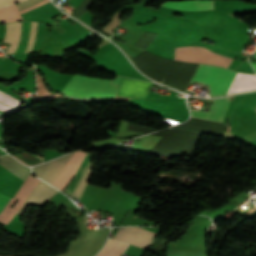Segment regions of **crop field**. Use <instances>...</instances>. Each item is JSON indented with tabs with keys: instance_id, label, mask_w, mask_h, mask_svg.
I'll use <instances>...</instances> for the list:
<instances>
[{
	"instance_id": "obj_1",
	"label": "crop field",
	"mask_w": 256,
	"mask_h": 256,
	"mask_svg": "<svg viewBox=\"0 0 256 256\" xmlns=\"http://www.w3.org/2000/svg\"><path fill=\"white\" fill-rule=\"evenodd\" d=\"M111 80L102 78L73 76L63 89L65 95L84 98H114L117 86Z\"/></svg>"
},
{
	"instance_id": "obj_2",
	"label": "crop field",
	"mask_w": 256,
	"mask_h": 256,
	"mask_svg": "<svg viewBox=\"0 0 256 256\" xmlns=\"http://www.w3.org/2000/svg\"><path fill=\"white\" fill-rule=\"evenodd\" d=\"M235 75L228 69L200 64L192 81L207 86L212 96H220L226 93Z\"/></svg>"
},
{
	"instance_id": "obj_3",
	"label": "crop field",
	"mask_w": 256,
	"mask_h": 256,
	"mask_svg": "<svg viewBox=\"0 0 256 256\" xmlns=\"http://www.w3.org/2000/svg\"><path fill=\"white\" fill-rule=\"evenodd\" d=\"M41 180L37 179L33 175H30L23 183V185L20 187V189L17 191L15 194L14 198L9 201V197L3 195L0 193V212L6 205V207L3 209V211L0 213V222L8 225L12 219L18 214L20 211L21 207L25 203L26 199L30 195V193L33 191V189L37 186V184ZM18 199V200H17ZM16 204L14 207L11 209L10 207L12 204L15 202Z\"/></svg>"
},
{
	"instance_id": "obj_4",
	"label": "crop field",
	"mask_w": 256,
	"mask_h": 256,
	"mask_svg": "<svg viewBox=\"0 0 256 256\" xmlns=\"http://www.w3.org/2000/svg\"><path fill=\"white\" fill-rule=\"evenodd\" d=\"M174 59L186 62L208 63L228 67L233 58L211 52L203 47L185 46L175 48Z\"/></svg>"
},
{
	"instance_id": "obj_5",
	"label": "crop field",
	"mask_w": 256,
	"mask_h": 256,
	"mask_svg": "<svg viewBox=\"0 0 256 256\" xmlns=\"http://www.w3.org/2000/svg\"><path fill=\"white\" fill-rule=\"evenodd\" d=\"M113 84L119 85L117 96L133 98L140 97L145 98L148 90H146L151 83L129 79L125 77H117L113 79Z\"/></svg>"
},
{
	"instance_id": "obj_6",
	"label": "crop field",
	"mask_w": 256,
	"mask_h": 256,
	"mask_svg": "<svg viewBox=\"0 0 256 256\" xmlns=\"http://www.w3.org/2000/svg\"><path fill=\"white\" fill-rule=\"evenodd\" d=\"M71 155L72 154H69L64 157L33 167V172L35 175L39 176L40 178L51 184L55 180L59 172L63 169L64 165L66 164Z\"/></svg>"
},
{
	"instance_id": "obj_7",
	"label": "crop field",
	"mask_w": 256,
	"mask_h": 256,
	"mask_svg": "<svg viewBox=\"0 0 256 256\" xmlns=\"http://www.w3.org/2000/svg\"><path fill=\"white\" fill-rule=\"evenodd\" d=\"M85 155L86 152L82 151L73 153L67 165L61 171L58 178L52 183V185L62 190L75 175Z\"/></svg>"
},
{
	"instance_id": "obj_8",
	"label": "crop field",
	"mask_w": 256,
	"mask_h": 256,
	"mask_svg": "<svg viewBox=\"0 0 256 256\" xmlns=\"http://www.w3.org/2000/svg\"><path fill=\"white\" fill-rule=\"evenodd\" d=\"M57 192L58 191H56L54 188L41 181L18 215L20 216L26 210L29 204L44 207L49 199Z\"/></svg>"
},
{
	"instance_id": "obj_9",
	"label": "crop field",
	"mask_w": 256,
	"mask_h": 256,
	"mask_svg": "<svg viewBox=\"0 0 256 256\" xmlns=\"http://www.w3.org/2000/svg\"><path fill=\"white\" fill-rule=\"evenodd\" d=\"M231 97L232 96L221 99H215V102L209 112L191 111V117L221 122L226 113Z\"/></svg>"
},
{
	"instance_id": "obj_10",
	"label": "crop field",
	"mask_w": 256,
	"mask_h": 256,
	"mask_svg": "<svg viewBox=\"0 0 256 256\" xmlns=\"http://www.w3.org/2000/svg\"><path fill=\"white\" fill-rule=\"evenodd\" d=\"M162 6L185 11L214 9V0L166 1Z\"/></svg>"
},
{
	"instance_id": "obj_11",
	"label": "crop field",
	"mask_w": 256,
	"mask_h": 256,
	"mask_svg": "<svg viewBox=\"0 0 256 256\" xmlns=\"http://www.w3.org/2000/svg\"><path fill=\"white\" fill-rule=\"evenodd\" d=\"M256 75L237 73L227 94L255 90Z\"/></svg>"
},
{
	"instance_id": "obj_12",
	"label": "crop field",
	"mask_w": 256,
	"mask_h": 256,
	"mask_svg": "<svg viewBox=\"0 0 256 256\" xmlns=\"http://www.w3.org/2000/svg\"><path fill=\"white\" fill-rule=\"evenodd\" d=\"M0 164L22 180H25V178L31 172L30 168L23 166L22 164H20L19 162H17L15 159L8 155L2 156L0 158Z\"/></svg>"
},
{
	"instance_id": "obj_13",
	"label": "crop field",
	"mask_w": 256,
	"mask_h": 256,
	"mask_svg": "<svg viewBox=\"0 0 256 256\" xmlns=\"http://www.w3.org/2000/svg\"><path fill=\"white\" fill-rule=\"evenodd\" d=\"M21 22L7 24L4 42L11 43L6 53H14L19 43Z\"/></svg>"
},
{
	"instance_id": "obj_14",
	"label": "crop field",
	"mask_w": 256,
	"mask_h": 256,
	"mask_svg": "<svg viewBox=\"0 0 256 256\" xmlns=\"http://www.w3.org/2000/svg\"><path fill=\"white\" fill-rule=\"evenodd\" d=\"M22 20L16 4L0 8V23Z\"/></svg>"
},
{
	"instance_id": "obj_15",
	"label": "crop field",
	"mask_w": 256,
	"mask_h": 256,
	"mask_svg": "<svg viewBox=\"0 0 256 256\" xmlns=\"http://www.w3.org/2000/svg\"><path fill=\"white\" fill-rule=\"evenodd\" d=\"M92 168H93V164L90 162L86 172L84 173L83 177L81 178L80 182L78 183V185L76 186L75 190L72 193V195L77 199H79L81 192L84 190V188L86 187L90 179Z\"/></svg>"
},
{
	"instance_id": "obj_16",
	"label": "crop field",
	"mask_w": 256,
	"mask_h": 256,
	"mask_svg": "<svg viewBox=\"0 0 256 256\" xmlns=\"http://www.w3.org/2000/svg\"><path fill=\"white\" fill-rule=\"evenodd\" d=\"M127 130L137 131V132H141V133H145V134L157 131L151 127L140 126V125H136V124H132V123L128 124Z\"/></svg>"
},
{
	"instance_id": "obj_17",
	"label": "crop field",
	"mask_w": 256,
	"mask_h": 256,
	"mask_svg": "<svg viewBox=\"0 0 256 256\" xmlns=\"http://www.w3.org/2000/svg\"><path fill=\"white\" fill-rule=\"evenodd\" d=\"M92 0H84L80 6L71 13V15L75 16V17H79L81 16L84 12H86L91 4Z\"/></svg>"
},
{
	"instance_id": "obj_18",
	"label": "crop field",
	"mask_w": 256,
	"mask_h": 256,
	"mask_svg": "<svg viewBox=\"0 0 256 256\" xmlns=\"http://www.w3.org/2000/svg\"><path fill=\"white\" fill-rule=\"evenodd\" d=\"M18 99L12 98L2 92H0V102L9 106L16 107Z\"/></svg>"
},
{
	"instance_id": "obj_19",
	"label": "crop field",
	"mask_w": 256,
	"mask_h": 256,
	"mask_svg": "<svg viewBox=\"0 0 256 256\" xmlns=\"http://www.w3.org/2000/svg\"><path fill=\"white\" fill-rule=\"evenodd\" d=\"M36 26H37V23H34L32 22V25H31V31H30V40H29V44L25 50V52H30L33 45H34V39H35V34H36Z\"/></svg>"
},
{
	"instance_id": "obj_20",
	"label": "crop field",
	"mask_w": 256,
	"mask_h": 256,
	"mask_svg": "<svg viewBox=\"0 0 256 256\" xmlns=\"http://www.w3.org/2000/svg\"><path fill=\"white\" fill-rule=\"evenodd\" d=\"M22 0H0V7L1 6H5V5H9V4H13V3H17L20 2Z\"/></svg>"
},
{
	"instance_id": "obj_21",
	"label": "crop field",
	"mask_w": 256,
	"mask_h": 256,
	"mask_svg": "<svg viewBox=\"0 0 256 256\" xmlns=\"http://www.w3.org/2000/svg\"><path fill=\"white\" fill-rule=\"evenodd\" d=\"M14 109L9 107V106H5L0 104V111L9 114L11 111H13Z\"/></svg>"
},
{
	"instance_id": "obj_22",
	"label": "crop field",
	"mask_w": 256,
	"mask_h": 256,
	"mask_svg": "<svg viewBox=\"0 0 256 256\" xmlns=\"http://www.w3.org/2000/svg\"><path fill=\"white\" fill-rule=\"evenodd\" d=\"M46 2H49V0H44V1H42V2H40V3H38V4L34 5V6H32V7L28 8V9H26V10L20 11V13H21V14H22V13H25V12H27V11H29V10H31V9H33V8H35V7H37V6L41 5V4H43V3H46Z\"/></svg>"
},
{
	"instance_id": "obj_23",
	"label": "crop field",
	"mask_w": 256,
	"mask_h": 256,
	"mask_svg": "<svg viewBox=\"0 0 256 256\" xmlns=\"http://www.w3.org/2000/svg\"><path fill=\"white\" fill-rule=\"evenodd\" d=\"M30 154H31V153H30ZM32 155L35 156L36 158H38V159H40V160L43 161V158H42V157L36 156V155H34V154H32Z\"/></svg>"
},
{
	"instance_id": "obj_24",
	"label": "crop field",
	"mask_w": 256,
	"mask_h": 256,
	"mask_svg": "<svg viewBox=\"0 0 256 256\" xmlns=\"http://www.w3.org/2000/svg\"><path fill=\"white\" fill-rule=\"evenodd\" d=\"M251 65L253 66V68H254L255 71H256V63H251Z\"/></svg>"
}]
</instances>
